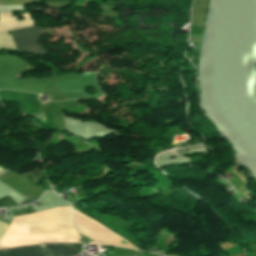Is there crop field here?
<instances>
[{
  "label": "crop field",
  "mask_w": 256,
  "mask_h": 256,
  "mask_svg": "<svg viewBox=\"0 0 256 256\" xmlns=\"http://www.w3.org/2000/svg\"><path fill=\"white\" fill-rule=\"evenodd\" d=\"M40 32L41 29L36 26L11 31L12 37L15 41L16 48L36 44ZM12 37L7 36V33L0 34V48H15Z\"/></svg>",
  "instance_id": "obj_3"
},
{
  "label": "crop field",
  "mask_w": 256,
  "mask_h": 256,
  "mask_svg": "<svg viewBox=\"0 0 256 256\" xmlns=\"http://www.w3.org/2000/svg\"><path fill=\"white\" fill-rule=\"evenodd\" d=\"M59 90L68 99H89L100 98L102 96L95 81V73H82L79 80L69 81L66 83L56 84ZM91 86L96 89L97 93L90 96L84 92V87Z\"/></svg>",
  "instance_id": "obj_2"
},
{
  "label": "crop field",
  "mask_w": 256,
  "mask_h": 256,
  "mask_svg": "<svg viewBox=\"0 0 256 256\" xmlns=\"http://www.w3.org/2000/svg\"><path fill=\"white\" fill-rule=\"evenodd\" d=\"M19 51H25V52H30V53H34V54H46V50L41 47V46H28L24 49H20Z\"/></svg>",
  "instance_id": "obj_5"
},
{
  "label": "crop field",
  "mask_w": 256,
  "mask_h": 256,
  "mask_svg": "<svg viewBox=\"0 0 256 256\" xmlns=\"http://www.w3.org/2000/svg\"><path fill=\"white\" fill-rule=\"evenodd\" d=\"M81 242L74 224L72 207L14 217L0 240V249L45 243ZM69 243H45L0 250V256H76Z\"/></svg>",
  "instance_id": "obj_1"
},
{
  "label": "crop field",
  "mask_w": 256,
  "mask_h": 256,
  "mask_svg": "<svg viewBox=\"0 0 256 256\" xmlns=\"http://www.w3.org/2000/svg\"><path fill=\"white\" fill-rule=\"evenodd\" d=\"M23 17L25 20L17 22L16 17L12 16V12L0 13V32L34 25L30 14H23Z\"/></svg>",
  "instance_id": "obj_4"
},
{
  "label": "crop field",
  "mask_w": 256,
  "mask_h": 256,
  "mask_svg": "<svg viewBox=\"0 0 256 256\" xmlns=\"http://www.w3.org/2000/svg\"><path fill=\"white\" fill-rule=\"evenodd\" d=\"M7 226H8V224L0 221V238L3 235V233L5 232Z\"/></svg>",
  "instance_id": "obj_6"
}]
</instances>
